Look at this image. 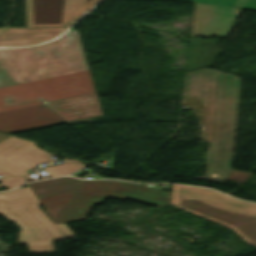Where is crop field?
Wrapping results in <instances>:
<instances>
[{"label":"crop field","instance_id":"crop-field-1","mask_svg":"<svg viewBox=\"0 0 256 256\" xmlns=\"http://www.w3.org/2000/svg\"><path fill=\"white\" fill-rule=\"evenodd\" d=\"M94 93L75 30L43 45L0 49V109Z\"/></svg>","mask_w":256,"mask_h":256},{"label":"crop field","instance_id":"crop-field-2","mask_svg":"<svg viewBox=\"0 0 256 256\" xmlns=\"http://www.w3.org/2000/svg\"><path fill=\"white\" fill-rule=\"evenodd\" d=\"M240 79L212 71L187 74L183 104L195 109L210 142L208 176L223 178L230 170Z\"/></svg>","mask_w":256,"mask_h":256},{"label":"crop field","instance_id":"crop-field-3","mask_svg":"<svg viewBox=\"0 0 256 256\" xmlns=\"http://www.w3.org/2000/svg\"><path fill=\"white\" fill-rule=\"evenodd\" d=\"M37 205L28 186L0 193V215L21 229L16 245L27 244L30 254L56 252L53 241L76 235L66 224L54 225Z\"/></svg>","mask_w":256,"mask_h":256},{"label":"crop field","instance_id":"crop-field-4","mask_svg":"<svg viewBox=\"0 0 256 256\" xmlns=\"http://www.w3.org/2000/svg\"><path fill=\"white\" fill-rule=\"evenodd\" d=\"M171 202L183 203L182 209L232 228L245 242L256 247V204L183 185H173Z\"/></svg>","mask_w":256,"mask_h":256},{"label":"crop field","instance_id":"crop-field-5","mask_svg":"<svg viewBox=\"0 0 256 256\" xmlns=\"http://www.w3.org/2000/svg\"><path fill=\"white\" fill-rule=\"evenodd\" d=\"M107 195L164 206L170 203L171 192L141 185V183L110 180L84 181L69 204H100Z\"/></svg>","mask_w":256,"mask_h":256},{"label":"crop field","instance_id":"crop-field-6","mask_svg":"<svg viewBox=\"0 0 256 256\" xmlns=\"http://www.w3.org/2000/svg\"><path fill=\"white\" fill-rule=\"evenodd\" d=\"M34 144L14 136L0 142V176L25 174L39 163L53 162L52 155ZM31 179L29 175L0 179V186L11 189Z\"/></svg>","mask_w":256,"mask_h":256},{"label":"crop field","instance_id":"crop-field-7","mask_svg":"<svg viewBox=\"0 0 256 256\" xmlns=\"http://www.w3.org/2000/svg\"><path fill=\"white\" fill-rule=\"evenodd\" d=\"M98 0H25L27 27L70 26Z\"/></svg>","mask_w":256,"mask_h":256},{"label":"crop field","instance_id":"crop-field-8","mask_svg":"<svg viewBox=\"0 0 256 256\" xmlns=\"http://www.w3.org/2000/svg\"><path fill=\"white\" fill-rule=\"evenodd\" d=\"M62 121L66 120L43 102L0 110V131L6 133Z\"/></svg>","mask_w":256,"mask_h":256},{"label":"crop field","instance_id":"crop-field-9","mask_svg":"<svg viewBox=\"0 0 256 256\" xmlns=\"http://www.w3.org/2000/svg\"><path fill=\"white\" fill-rule=\"evenodd\" d=\"M81 180L72 177L29 183V186L44 207L67 204Z\"/></svg>","mask_w":256,"mask_h":256},{"label":"crop field","instance_id":"crop-field-10","mask_svg":"<svg viewBox=\"0 0 256 256\" xmlns=\"http://www.w3.org/2000/svg\"><path fill=\"white\" fill-rule=\"evenodd\" d=\"M66 28H7L0 34V47L24 46L44 42L60 35Z\"/></svg>","mask_w":256,"mask_h":256},{"label":"crop field","instance_id":"crop-field-11","mask_svg":"<svg viewBox=\"0 0 256 256\" xmlns=\"http://www.w3.org/2000/svg\"><path fill=\"white\" fill-rule=\"evenodd\" d=\"M47 105L67 121L101 114L96 94Z\"/></svg>","mask_w":256,"mask_h":256},{"label":"crop field","instance_id":"crop-field-12","mask_svg":"<svg viewBox=\"0 0 256 256\" xmlns=\"http://www.w3.org/2000/svg\"><path fill=\"white\" fill-rule=\"evenodd\" d=\"M90 208L91 206L83 205H62L54 219V223L58 224L85 218Z\"/></svg>","mask_w":256,"mask_h":256},{"label":"crop field","instance_id":"crop-field-13","mask_svg":"<svg viewBox=\"0 0 256 256\" xmlns=\"http://www.w3.org/2000/svg\"><path fill=\"white\" fill-rule=\"evenodd\" d=\"M82 163H80L77 160H72V159H65L64 163L46 167L45 169L52 175H61V174H66L69 172H72L74 170H77L81 167H83Z\"/></svg>","mask_w":256,"mask_h":256},{"label":"crop field","instance_id":"crop-field-14","mask_svg":"<svg viewBox=\"0 0 256 256\" xmlns=\"http://www.w3.org/2000/svg\"><path fill=\"white\" fill-rule=\"evenodd\" d=\"M250 175H251L250 173L231 170L225 178L235 180V181L245 182Z\"/></svg>","mask_w":256,"mask_h":256},{"label":"crop field","instance_id":"crop-field-15","mask_svg":"<svg viewBox=\"0 0 256 256\" xmlns=\"http://www.w3.org/2000/svg\"><path fill=\"white\" fill-rule=\"evenodd\" d=\"M60 207H61V205L60 206H56V207L47 208L46 211L51 216V218L54 219V217L57 214V212L60 209Z\"/></svg>","mask_w":256,"mask_h":256},{"label":"crop field","instance_id":"crop-field-16","mask_svg":"<svg viewBox=\"0 0 256 256\" xmlns=\"http://www.w3.org/2000/svg\"><path fill=\"white\" fill-rule=\"evenodd\" d=\"M10 136H11V135L4 134V133H1V132H0V141L4 140V139H6V138H8V137H10Z\"/></svg>","mask_w":256,"mask_h":256},{"label":"crop field","instance_id":"crop-field-17","mask_svg":"<svg viewBox=\"0 0 256 256\" xmlns=\"http://www.w3.org/2000/svg\"><path fill=\"white\" fill-rule=\"evenodd\" d=\"M171 205L182 208L184 205L183 204H176V203H171Z\"/></svg>","mask_w":256,"mask_h":256},{"label":"crop field","instance_id":"crop-field-18","mask_svg":"<svg viewBox=\"0 0 256 256\" xmlns=\"http://www.w3.org/2000/svg\"><path fill=\"white\" fill-rule=\"evenodd\" d=\"M202 35H203L202 33H198V32L193 31V36H202Z\"/></svg>","mask_w":256,"mask_h":256},{"label":"crop field","instance_id":"crop-field-19","mask_svg":"<svg viewBox=\"0 0 256 256\" xmlns=\"http://www.w3.org/2000/svg\"><path fill=\"white\" fill-rule=\"evenodd\" d=\"M2 30H3V28L0 29V31H2Z\"/></svg>","mask_w":256,"mask_h":256}]
</instances>
